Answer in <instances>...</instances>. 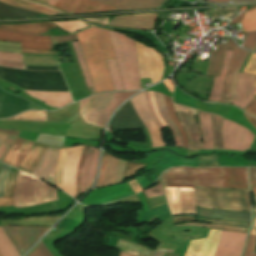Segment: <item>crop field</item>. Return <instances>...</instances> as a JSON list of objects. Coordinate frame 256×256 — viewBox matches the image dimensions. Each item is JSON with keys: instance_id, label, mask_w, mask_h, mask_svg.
Here are the masks:
<instances>
[{"instance_id": "1", "label": "crop field", "mask_w": 256, "mask_h": 256, "mask_svg": "<svg viewBox=\"0 0 256 256\" xmlns=\"http://www.w3.org/2000/svg\"><path fill=\"white\" fill-rule=\"evenodd\" d=\"M110 38L125 90L141 88L134 39L110 31ZM108 30L92 27L77 33L95 92L114 90L105 59H115Z\"/></svg>"}, {"instance_id": "2", "label": "crop field", "mask_w": 256, "mask_h": 256, "mask_svg": "<svg viewBox=\"0 0 256 256\" xmlns=\"http://www.w3.org/2000/svg\"><path fill=\"white\" fill-rule=\"evenodd\" d=\"M162 177L165 187L248 188L246 168H171Z\"/></svg>"}, {"instance_id": "3", "label": "crop field", "mask_w": 256, "mask_h": 256, "mask_svg": "<svg viewBox=\"0 0 256 256\" xmlns=\"http://www.w3.org/2000/svg\"><path fill=\"white\" fill-rule=\"evenodd\" d=\"M136 92L98 94L81 100L79 111L84 121L104 128L113 110Z\"/></svg>"}, {"instance_id": "4", "label": "crop field", "mask_w": 256, "mask_h": 256, "mask_svg": "<svg viewBox=\"0 0 256 256\" xmlns=\"http://www.w3.org/2000/svg\"><path fill=\"white\" fill-rule=\"evenodd\" d=\"M54 200H57L54 187L33 175L19 172L14 194L15 207L33 206Z\"/></svg>"}, {"instance_id": "5", "label": "crop field", "mask_w": 256, "mask_h": 256, "mask_svg": "<svg viewBox=\"0 0 256 256\" xmlns=\"http://www.w3.org/2000/svg\"><path fill=\"white\" fill-rule=\"evenodd\" d=\"M197 206L250 211L248 190L193 189Z\"/></svg>"}, {"instance_id": "6", "label": "crop field", "mask_w": 256, "mask_h": 256, "mask_svg": "<svg viewBox=\"0 0 256 256\" xmlns=\"http://www.w3.org/2000/svg\"><path fill=\"white\" fill-rule=\"evenodd\" d=\"M82 147L61 149L54 176L55 185L74 198H76L75 174Z\"/></svg>"}, {"instance_id": "7", "label": "crop field", "mask_w": 256, "mask_h": 256, "mask_svg": "<svg viewBox=\"0 0 256 256\" xmlns=\"http://www.w3.org/2000/svg\"><path fill=\"white\" fill-rule=\"evenodd\" d=\"M222 133L224 147L226 149L244 151L250 149L254 134L246 128L223 119Z\"/></svg>"}, {"instance_id": "8", "label": "crop field", "mask_w": 256, "mask_h": 256, "mask_svg": "<svg viewBox=\"0 0 256 256\" xmlns=\"http://www.w3.org/2000/svg\"><path fill=\"white\" fill-rule=\"evenodd\" d=\"M130 101L137 115L148 129L153 147L165 146L166 144L163 140L162 131L149 110L145 92L131 98Z\"/></svg>"}, {"instance_id": "9", "label": "crop field", "mask_w": 256, "mask_h": 256, "mask_svg": "<svg viewBox=\"0 0 256 256\" xmlns=\"http://www.w3.org/2000/svg\"><path fill=\"white\" fill-rule=\"evenodd\" d=\"M4 231L23 255L48 229V227H3Z\"/></svg>"}, {"instance_id": "10", "label": "crop field", "mask_w": 256, "mask_h": 256, "mask_svg": "<svg viewBox=\"0 0 256 256\" xmlns=\"http://www.w3.org/2000/svg\"><path fill=\"white\" fill-rule=\"evenodd\" d=\"M172 214H195L196 198L192 188H165Z\"/></svg>"}, {"instance_id": "11", "label": "crop field", "mask_w": 256, "mask_h": 256, "mask_svg": "<svg viewBox=\"0 0 256 256\" xmlns=\"http://www.w3.org/2000/svg\"><path fill=\"white\" fill-rule=\"evenodd\" d=\"M51 5L56 8L61 0H35ZM58 9L69 13H83L104 10H116V7L108 6L90 0H62L57 6Z\"/></svg>"}, {"instance_id": "12", "label": "crop field", "mask_w": 256, "mask_h": 256, "mask_svg": "<svg viewBox=\"0 0 256 256\" xmlns=\"http://www.w3.org/2000/svg\"><path fill=\"white\" fill-rule=\"evenodd\" d=\"M247 51L236 46L235 51L228 68V72L224 82L223 92L219 102L231 103L235 84L238 78V71L247 55ZM228 94V97H226Z\"/></svg>"}, {"instance_id": "13", "label": "crop field", "mask_w": 256, "mask_h": 256, "mask_svg": "<svg viewBox=\"0 0 256 256\" xmlns=\"http://www.w3.org/2000/svg\"><path fill=\"white\" fill-rule=\"evenodd\" d=\"M178 113L181 117L182 123L187 130V134L190 138V148L203 149L201 143V134L198 126L200 125L198 112L192 108L176 105ZM197 118V123L195 116Z\"/></svg>"}, {"instance_id": "14", "label": "crop field", "mask_w": 256, "mask_h": 256, "mask_svg": "<svg viewBox=\"0 0 256 256\" xmlns=\"http://www.w3.org/2000/svg\"><path fill=\"white\" fill-rule=\"evenodd\" d=\"M247 234L222 231L215 256H240Z\"/></svg>"}, {"instance_id": "15", "label": "crop field", "mask_w": 256, "mask_h": 256, "mask_svg": "<svg viewBox=\"0 0 256 256\" xmlns=\"http://www.w3.org/2000/svg\"><path fill=\"white\" fill-rule=\"evenodd\" d=\"M0 40L21 42L22 48L48 50H51L52 48L50 36H32L0 29Z\"/></svg>"}, {"instance_id": "16", "label": "crop field", "mask_w": 256, "mask_h": 256, "mask_svg": "<svg viewBox=\"0 0 256 256\" xmlns=\"http://www.w3.org/2000/svg\"><path fill=\"white\" fill-rule=\"evenodd\" d=\"M254 79L255 77L251 75H239L232 104L244 109L254 99L253 95L256 91V86L252 85Z\"/></svg>"}, {"instance_id": "17", "label": "crop field", "mask_w": 256, "mask_h": 256, "mask_svg": "<svg viewBox=\"0 0 256 256\" xmlns=\"http://www.w3.org/2000/svg\"><path fill=\"white\" fill-rule=\"evenodd\" d=\"M156 15L155 13H149L115 16L109 25L115 27L152 29Z\"/></svg>"}, {"instance_id": "18", "label": "crop field", "mask_w": 256, "mask_h": 256, "mask_svg": "<svg viewBox=\"0 0 256 256\" xmlns=\"http://www.w3.org/2000/svg\"><path fill=\"white\" fill-rule=\"evenodd\" d=\"M220 232L211 230L207 239L191 241L184 256H213Z\"/></svg>"}, {"instance_id": "19", "label": "crop field", "mask_w": 256, "mask_h": 256, "mask_svg": "<svg viewBox=\"0 0 256 256\" xmlns=\"http://www.w3.org/2000/svg\"><path fill=\"white\" fill-rule=\"evenodd\" d=\"M59 150L60 148L48 147L42 159L40 160L37 167L33 171V174L54 183L53 176H54V171H55Z\"/></svg>"}, {"instance_id": "20", "label": "crop field", "mask_w": 256, "mask_h": 256, "mask_svg": "<svg viewBox=\"0 0 256 256\" xmlns=\"http://www.w3.org/2000/svg\"><path fill=\"white\" fill-rule=\"evenodd\" d=\"M20 138V137H19ZM17 138L1 162L18 168L34 142Z\"/></svg>"}, {"instance_id": "21", "label": "crop field", "mask_w": 256, "mask_h": 256, "mask_svg": "<svg viewBox=\"0 0 256 256\" xmlns=\"http://www.w3.org/2000/svg\"><path fill=\"white\" fill-rule=\"evenodd\" d=\"M198 215L218 219L250 223L251 214L238 211H222L198 208Z\"/></svg>"}, {"instance_id": "22", "label": "crop field", "mask_w": 256, "mask_h": 256, "mask_svg": "<svg viewBox=\"0 0 256 256\" xmlns=\"http://www.w3.org/2000/svg\"><path fill=\"white\" fill-rule=\"evenodd\" d=\"M101 3L118 7L117 10L124 9H150L158 8L163 0H94Z\"/></svg>"}, {"instance_id": "23", "label": "crop field", "mask_w": 256, "mask_h": 256, "mask_svg": "<svg viewBox=\"0 0 256 256\" xmlns=\"http://www.w3.org/2000/svg\"><path fill=\"white\" fill-rule=\"evenodd\" d=\"M125 164V161L110 155L104 185L122 182Z\"/></svg>"}, {"instance_id": "24", "label": "crop field", "mask_w": 256, "mask_h": 256, "mask_svg": "<svg viewBox=\"0 0 256 256\" xmlns=\"http://www.w3.org/2000/svg\"><path fill=\"white\" fill-rule=\"evenodd\" d=\"M78 104L79 102L73 103L61 110L48 112L47 121L71 124V122L78 113Z\"/></svg>"}, {"instance_id": "25", "label": "crop field", "mask_w": 256, "mask_h": 256, "mask_svg": "<svg viewBox=\"0 0 256 256\" xmlns=\"http://www.w3.org/2000/svg\"><path fill=\"white\" fill-rule=\"evenodd\" d=\"M198 220L205 221V222H210V223H213V225L200 224V223H186L185 225L200 226V227H206V228H211V229H219V230L241 231V232H247L248 228L250 226V225H247V224H240V223H233V222H226V221H218V220H209V219H201V218H198Z\"/></svg>"}, {"instance_id": "26", "label": "crop field", "mask_w": 256, "mask_h": 256, "mask_svg": "<svg viewBox=\"0 0 256 256\" xmlns=\"http://www.w3.org/2000/svg\"><path fill=\"white\" fill-rule=\"evenodd\" d=\"M154 94H155L158 110H159L163 120L165 121V123L171 128V130L173 132V136L176 141V146L182 147L181 135H180L177 127L174 125V123L172 122L171 118L168 115L167 109L165 107L163 94L157 93V92H154Z\"/></svg>"}, {"instance_id": "27", "label": "crop field", "mask_w": 256, "mask_h": 256, "mask_svg": "<svg viewBox=\"0 0 256 256\" xmlns=\"http://www.w3.org/2000/svg\"><path fill=\"white\" fill-rule=\"evenodd\" d=\"M46 148V146L35 143V145L32 147L28 155L19 166V169L32 173Z\"/></svg>"}, {"instance_id": "28", "label": "crop field", "mask_w": 256, "mask_h": 256, "mask_svg": "<svg viewBox=\"0 0 256 256\" xmlns=\"http://www.w3.org/2000/svg\"><path fill=\"white\" fill-rule=\"evenodd\" d=\"M0 27L14 30V31L41 34L55 26L49 22H37V23L21 24V25H0Z\"/></svg>"}, {"instance_id": "29", "label": "crop field", "mask_w": 256, "mask_h": 256, "mask_svg": "<svg viewBox=\"0 0 256 256\" xmlns=\"http://www.w3.org/2000/svg\"><path fill=\"white\" fill-rule=\"evenodd\" d=\"M233 51H227L226 52V56L224 59V63H223V67H222V71H221V75L220 77H215L214 79V83H213V87H212V91H211V95L209 100L210 101H219L221 92H222V88H223V82H224V78L227 72V68L231 59V55H232Z\"/></svg>"}, {"instance_id": "30", "label": "crop field", "mask_w": 256, "mask_h": 256, "mask_svg": "<svg viewBox=\"0 0 256 256\" xmlns=\"http://www.w3.org/2000/svg\"><path fill=\"white\" fill-rule=\"evenodd\" d=\"M235 46L236 44L230 39V37H229L228 44H221L217 46L209 75H217V76L220 75L226 50H234Z\"/></svg>"}, {"instance_id": "31", "label": "crop field", "mask_w": 256, "mask_h": 256, "mask_svg": "<svg viewBox=\"0 0 256 256\" xmlns=\"http://www.w3.org/2000/svg\"><path fill=\"white\" fill-rule=\"evenodd\" d=\"M201 126L199 127L201 130L204 149H212L213 147V139H212V130L210 123V114L203 113L199 111Z\"/></svg>"}, {"instance_id": "32", "label": "crop field", "mask_w": 256, "mask_h": 256, "mask_svg": "<svg viewBox=\"0 0 256 256\" xmlns=\"http://www.w3.org/2000/svg\"><path fill=\"white\" fill-rule=\"evenodd\" d=\"M0 1L4 2V3H7L9 5H12V6H16V7L27 9V10L37 11V12L44 13V14H47V15L62 14V13H59L55 10L50 9V8L41 7V6H38L36 4L29 3V2H26V1H22V0H0Z\"/></svg>"}, {"instance_id": "33", "label": "crop field", "mask_w": 256, "mask_h": 256, "mask_svg": "<svg viewBox=\"0 0 256 256\" xmlns=\"http://www.w3.org/2000/svg\"><path fill=\"white\" fill-rule=\"evenodd\" d=\"M115 247L138 256H150L152 254L151 251L145 249L143 246L139 244L125 242L121 240H118Z\"/></svg>"}, {"instance_id": "34", "label": "crop field", "mask_w": 256, "mask_h": 256, "mask_svg": "<svg viewBox=\"0 0 256 256\" xmlns=\"http://www.w3.org/2000/svg\"><path fill=\"white\" fill-rule=\"evenodd\" d=\"M221 121L222 118L211 114V123L213 130L214 149H223V141L221 137Z\"/></svg>"}, {"instance_id": "35", "label": "crop field", "mask_w": 256, "mask_h": 256, "mask_svg": "<svg viewBox=\"0 0 256 256\" xmlns=\"http://www.w3.org/2000/svg\"><path fill=\"white\" fill-rule=\"evenodd\" d=\"M0 253L2 256H19L2 228L0 227Z\"/></svg>"}, {"instance_id": "36", "label": "crop field", "mask_w": 256, "mask_h": 256, "mask_svg": "<svg viewBox=\"0 0 256 256\" xmlns=\"http://www.w3.org/2000/svg\"><path fill=\"white\" fill-rule=\"evenodd\" d=\"M165 101H166V107L168 109V112H169L173 122L178 127V129L180 130V133L182 135L183 147L188 148L186 133H185L184 129L182 128L179 120L177 119V117L175 115L174 108H173V105H172V99L168 96H165Z\"/></svg>"}, {"instance_id": "37", "label": "crop field", "mask_w": 256, "mask_h": 256, "mask_svg": "<svg viewBox=\"0 0 256 256\" xmlns=\"http://www.w3.org/2000/svg\"><path fill=\"white\" fill-rule=\"evenodd\" d=\"M72 43H73V46H74V50H75L78 62L80 64V67H81L82 72L84 74V77H85V80L87 82L88 88L90 90V93L93 94L95 92H94L93 86L91 84V81H90V78H89V75H88V72H87L84 60H83V56H82V53H81V50H80L79 42L78 41H74Z\"/></svg>"}, {"instance_id": "38", "label": "crop field", "mask_w": 256, "mask_h": 256, "mask_svg": "<svg viewBox=\"0 0 256 256\" xmlns=\"http://www.w3.org/2000/svg\"><path fill=\"white\" fill-rule=\"evenodd\" d=\"M46 112L44 111H26L15 117L4 119V120H35L45 121Z\"/></svg>"}, {"instance_id": "39", "label": "crop field", "mask_w": 256, "mask_h": 256, "mask_svg": "<svg viewBox=\"0 0 256 256\" xmlns=\"http://www.w3.org/2000/svg\"><path fill=\"white\" fill-rule=\"evenodd\" d=\"M18 172V170L12 167L10 168L9 175L4 187L3 197H13Z\"/></svg>"}, {"instance_id": "40", "label": "crop field", "mask_w": 256, "mask_h": 256, "mask_svg": "<svg viewBox=\"0 0 256 256\" xmlns=\"http://www.w3.org/2000/svg\"><path fill=\"white\" fill-rule=\"evenodd\" d=\"M107 63H108L109 71H110L111 78L113 81L114 89L115 90H124L122 81L120 78V74H119V71L117 68L116 61L115 60H107Z\"/></svg>"}, {"instance_id": "41", "label": "crop field", "mask_w": 256, "mask_h": 256, "mask_svg": "<svg viewBox=\"0 0 256 256\" xmlns=\"http://www.w3.org/2000/svg\"><path fill=\"white\" fill-rule=\"evenodd\" d=\"M244 32L256 30V8L245 13V17L240 22Z\"/></svg>"}, {"instance_id": "42", "label": "crop field", "mask_w": 256, "mask_h": 256, "mask_svg": "<svg viewBox=\"0 0 256 256\" xmlns=\"http://www.w3.org/2000/svg\"><path fill=\"white\" fill-rule=\"evenodd\" d=\"M99 151L95 149V152L93 154L92 160L89 165L88 169V175H87V183H86V191L88 188L94 183L95 180V174H96V166H97V160H98Z\"/></svg>"}, {"instance_id": "43", "label": "crop field", "mask_w": 256, "mask_h": 256, "mask_svg": "<svg viewBox=\"0 0 256 256\" xmlns=\"http://www.w3.org/2000/svg\"><path fill=\"white\" fill-rule=\"evenodd\" d=\"M53 23H55L56 25H58L59 27H61L62 29L66 30L70 33L88 26V25L83 24L77 20L64 21V22H53Z\"/></svg>"}, {"instance_id": "44", "label": "crop field", "mask_w": 256, "mask_h": 256, "mask_svg": "<svg viewBox=\"0 0 256 256\" xmlns=\"http://www.w3.org/2000/svg\"><path fill=\"white\" fill-rule=\"evenodd\" d=\"M254 217H256V212H254ZM250 234L256 235V218H254V226ZM252 235L249 236V240H248V244H247L244 256H256V253H253L254 247L256 244V236H252Z\"/></svg>"}, {"instance_id": "45", "label": "crop field", "mask_w": 256, "mask_h": 256, "mask_svg": "<svg viewBox=\"0 0 256 256\" xmlns=\"http://www.w3.org/2000/svg\"><path fill=\"white\" fill-rule=\"evenodd\" d=\"M93 149H94L93 147H90V149L87 153L86 159L84 161V165H83V169H82V175H81L80 195L85 192L86 174H87V169H88L89 162H90L91 157H92Z\"/></svg>"}, {"instance_id": "46", "label": "crop field", "mask_w": 256, "mask_h": 256, "mask_svg": "<svg viewBox=\"0 0 256 256\" xmlns=\"http://www.w3.org/2000/svg\"><path fill=\"white\" fill-rule=\"evenodd\" d=\"M144 166L145 164H137V163H132L127 161L125 173H124V180L134 176L136 171L144 168Z\"/></svg>"}, {"instance_id": "47", "label": "crop field", "mask_w": 256, "mask_h": 256, "mask_svg": "<svg viewBox=\"0 0 256 256\" xmlns=\"http://www.w3.org/2000/svg\"><path fill=\"white\" fill-rule=\"evenodd\" d=\"M26 256H52L49 250L41 241L30 253Z\"/></svg>"}, {"instance_id": "48", "label": "crop field", "mask_w": 256, "mask_h": 256, "mask_svg": "<svg viewBox=\"0 0 256 256\" xmlns=\"http://www.w3.org/2000/svg\"><path fill=\"white\" fill-rule=\"evenodd\" d=\"M109 154L103 152L102 155V161H101V167H100V175H99V181L97 183L96 187H100L103 184L106 168H107V162H108Z\"/></svg>"}, {"instance_id": "49", "label": "crop field", "mask_w": 256, "mask_h": 256, "mask_svg": "<svg viewBox=\"0 0 256 256\" xmlns=\"http://www.w3.org/2000/svg\"><path fill=\"white\" fill-rule=\"evenodd\" d=\"M144 194L147 196L148 199L164 195L162 186H161V182H159V184L157 186L144 191Z\"/></svg>"}, {"instance_id": "50", "label": "crop field", "mask_w": 256, "mask_h": 256, "mask_svg": "<svg viewBox=\"0 0 256 256\" xmlns=\"http://www.w3.org/2000/svg\"><path fill=\"white\" fill-rule=\"evenodd\" d=\"M244 72L256 75V54L251 55ZM254 85H256V79Z\"/></svg>"}, {"instance_id": "51", "label": "crop field", "mask_w": 256, "mask_h": 256, "mask_svg": "<svg viewBox=\"0 0 256 256\" xmlns=\"http://www.w3.org/2000/svg\"><path fill=\"white\" fill-rule=\"evenodd\" d=\"M15 140H16L15 137L7 136V138L5 139V141L3 142V144L0 147V161L3 158V156L6 154L8 149L12 146V144Z\"/></svg>"}, {"instance_id": "52", "label": "crop field", "mask_w": 256, "mask_h": 256, "mask_svg": "<svg viewBox=\"0 0 256 256\" xmlns=\"http://www.w3.org/2000/svg\"><path fill=\"white\" fill-rule=\"evenodd\" d=\"M255 45H256V32L247 33L243 47L253 50Z\"/></svg>"}, {"instance_id": "53", "label": "crop field", "mask_w": 256, "mask_h": 256, "mask_svg": "<svg viewBox=\"0 0 256 256\" xmlns=\"http://www.w3.org/2000/svg\"><path fill=\"white\" fill-rule=\"evenodd\" d=\"M87 148H88V146H84V148H83L82 156H81V159H80V162H79V166H78V170H77V174H76L77 196H79L80 174H81L82 164H83L84 158L86 156Z\"/></svg>"}, {"instance_id": "54", "label": "crop field", "mask_w": 256, "mask_h": 256, "mask_svg": "<svg viewBox=\"0 0 256 256\" xmlns=\"http://www.w3.org/2000/svg\"><path fill=\"white\" fill-rule=\"evenodd\" d=\"M9 168H10L9 166L3 165V164L1 165V168H0V197H2L3 186H4L5 178L7 176Z\"/></svg>"}, {"instance_id": "55", "label": "crop field", "mask_w": 256, "mask_h": 256, "mask_svg": "<svg viewBox=\"0 0 256 256\" xmlns=\"http://www.w3.org/2000/svg\"><path fill=\"white\" fill-rule=\"evenodd\" d=\"M0 66L10 67V68L26 69L25 66H24V63L1 60V59H0Z\"/></svg>"}, {"instance_id": "56", "label": "crop field", "mask_w": 256, "mask_h": 256, "mask_svg": "<svg viewBox=\"0 0 256 256\" xmlns=\"http://www.w3.org/2000/svg\"><path fill=\"white\" fill-rule=\"evenodd\" d=\"M0 58L7 59V60H13V61H22L21 54H14V53H6V52H0Z\"/></svg>"}, {"instance_id": "57", "label": "crop field", "mask_w": 256, "mask_h": 256, "mask_svg": "<svg viewBox=\"0 0 256 256\" xmlns=\"http://www.w3.org/2000/svg\"><path fill=\"white\" fill-rule=\"evenodd\" d=\"M251 116L256 117V101L253 100L245 109Z\"/></svg>"}, {"instance_id": "58", "label": "crop field", "mask_w": 256, "mask_h": 256, "mask_svg": "<svg viewBox=\"0 0 256 256\" xmlns=\"http://www.w3.org/2000/svg\"><path fill=\"white\" fill-rule=\"evenodd\" d=\"M0 206H14L13 198H0Z\"/></svg>"}, {"instance_id": "59", "label": "crop field", "mask_w": 256, "mask_h": 256, "mask_svg": "<svg viewBox=\"0 0 256 256\" xmlns=\"http://www.w3.org/2000/svg\"><path fill=\"white\" fill-rule=\"evenodd\" d=\"M22 52H30V53H46V54H57V52H56V51L31 50V49H22Z\"/></svg>"}, {"instance_id": "60", "label": "crop field", "mask_w": 256, "mask_h": 256, "mask_svg": "<svg viewBox=\"0 0 256 256\" xmlns=\"http://www.w3.org/2000/svg\"><path fill=\"white\" fill-rule=\"evenodd\" d=\"M128 183L132 187V189L135 191V193L142 190L141 187L138 185V183L135 181V179L129 181Z\"/></svg>"}, {"instance_id": "61", "label": "crop field", "mask_w": 256, "mask_h": 256, "mask_svg": "<svg viewBox=\"0 0 256 256\" xmlns=\"http://www.w3.org/2000/svg\"><path fill=\"white\" fill-rule=\"evenodd\" d=\"M145 92H146V96H147V100H148V103H149V107H150V109H151V112H152L154 118L156 119L157 123L159 124L160 128H162V125H161L160 121L158 120V118L156 117V115H155V113H154V111H153V109H152V105H151L149 93H148L147 91H145Z\"/></svg>"}, {"instance_id": "62", "label": "crop field", "mask_w": 256, "mask_h": 256, "mask_svg": "<svg viewBox=\"0 0 256 256\" xmlns=\"http://www.w3.org/2000/svg\"><path fill=\"white\" fill-rule=\"evenodd\" d=\"M255 7H256V6L250 8V9H248V10H251V9H253V8H255ZM246 11H247V10H246ZM244 13H245V11H244L241 15H239L238 17L234 18V19L230 22V24L239 23V21L242 19L243 15H244ZM230 24H229V25H230Z\"/></svg>"}, {"instance_id": "63", "label": "crop field", "mask_w": 256, "mask_h": 256, "mask_svg": "<svg viewBox=\"0 0 256 256\" xmlns=\"http://www.w3.org/2000/svg\"><path fill=\"white\" fill-rule=\"evenodd\" d=\"M165 252L173 253V250L168 249H158L155 256H163Z\"/></svg>"}, {"instance_id": "64", "label": "crop field", "mask_w": 256, "mask_h": 256, "mask_svg": "<svg viewBox=\"0 0 256 256\" xmlns=\"http://www.w3.org/2000/svg\"><path fill=\"white\" fill-rule=\"evenodd\" d=\"M25 64H37V65H54L58 66V63H41V62H24Z\"/></svg>"}, {"instance_id": "65", "label": "crop field", "mask_w": 256, "mask_h": 256, "mask_svg": "<svg viewBox=\"0 0 256 256\" xmlns=\"http://www.w3.org/2000/svg\"><path fill=\"white\" fill-rule=\"evenodd\" d=\"M243 116L256 128V120L249 117L247 114H243Z\"/></svg>"}, {"instance_id": "66", "label": "crop field", "mask_w": 256, "mask_h": 256, "mask_svg": "<svg viewBox=\"0 0 256 256\" xmlns=\"http://www.w3.org/2000/svg\"><path fill=\"white\" fill-rule=\"evenodd\" d=\"M250 179L256 180V168H250Z\"/></svg>"}, {"instance_id": "67", "label": "crop field", "mask_w": 256, "mask_h": 256, "mask_svg": "<svg viewBox=\"0 0 256 256\" xmlns=\"http://www.w3.org/2000/svg\"><path fill=\"white\" fill-rule=\"evenodd\" d=\"M163 82H164V84L167 86L168 90H169L170 92H172L174 85L171 83V81H170V80H165V81H163Z\"/></svg>"}, {"instance_id": "68", "label": "crop field", "mask_w": 256, "mask_h": 256, "mask_svg": "<svg viewBox=\"0 0 256 256\" xmlns=\"http://www.w3.org/2000/svg\"><path fill=\"white\" fill-rule=\"evenodd\" d=\"M251 183H252L253 194L256 195V181H251Z\"/></svg>"}, {"instance_id": "69", "label": "crop field", "mask_w": 256, "mask_h": 256, "mask_svg": "<svg viewBox=\"0 0 256 256\" xmlns=\"http://www.w3.org/2000/svg\"><path fill=\"white\" fill-rule=\"evenodd\" d=\"M6 138V136L5 135H1L0 134V145H1V143L3 142V140Z\"/></svg>"}, {"instance_id": "70", "label": "crop field", "mask_w": 256, "mask_h": 256, "mask_svg": "<svg viewBox=\"0 0 256 256\" xmlns=\"http://www.w3.org/2000/svg\"><path fill=\"white\" fill-rule=\"evenodd\" d=\"M207 1H213V2H227L228 0H207Z\"/></svg>"}, {"instance_id": "71", "label": "crop field", "mask_w": 256, "mask_h": 256, "mask_svg": "<svg viewBox=\"0 0 256 256\" xmlns=\"http://www.w3.org/2000/svg\"><path fill=\"white\" fill-rule=\"evenodd\" d=\"M119 256H132V255H129V254H126V253L120 251V255Z\"/></svg>"}, {"instance_id": "72", "label": "crop field", "mask_w": 256, "mask_h": 256, "mask_svg": "<svg viewBox=\"0 0 256 256\" xmlns=\"http://www.w3.org/2000/svg\"><path fill=\"white\" fill-rule=\"evenodd\" d=\"M164 256H178V254H169V253H165Z\"/></svg>"}, {"instance_id": "73", "label": "crop field", "mask_w": 256, "mask_h": 256, "mask_svg": "<svg viewBox=\"0 0 256 256\" xmlns=\"http://www.w3.org/2000/svg\"><path fill=\"white\" fill-rule=\"evenodd\" d=\"M255 204H256V196H254Z\"/></svg>"}, {"instance_id": "74", "label": "crop field", "mask_w": 256, "mask_h": 256, "mask_svg": "<svg viewBox=\"0 0 256 256\" xmlns=\"http://www.w3.org/2000/svg\"><path fill=\"white\" fill-rule=\"evenodd\" d=\"M254 211H256V206H255V209H254Z\"/></svg>"}, {"instance_id": "75", "label": "crop field", "mask_w": 256, "mask_h": 256, "mask_svg": "<svg viewBox=\"0 0 256 256\" xmlns=\"http://www.w3.org/2000/svg\"><path fill=\"white\" fill-rule=\"evenodd\" d=\"M255 51H256V48H255Z\"/></svg>"}, {"instance_id": "76", "label": "crop field", "mask_w": 256, "mask_h": 256, "mask_svg": "<svg viewBox=\"0 0 256 256\" xmlns=\"http://www.w3.org/2000/svg\"><path fill=\"white\" fill-rule=\"evenodd\" d=\"M0 256H1V254H0Z\"/></svg>"}]
</instances>
